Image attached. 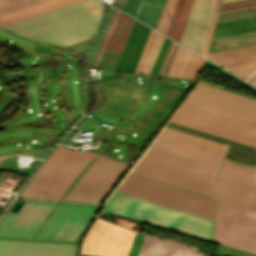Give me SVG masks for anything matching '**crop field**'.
Instances as JSON below:
<instances>
[{"label": "crop field", "mask_w": 256, "mask_h": 256, "mask_svg": "<svg viewBox=\"0 0 256 256\" xmlns=\"http://www.w3.org/2000/svg\"><path fill=\"white\" fill-rule=\"evenodd\" d=\"M45 0H1L0 14L35 5Z\"/></svg>", "instance_id": "obj_17"}, {"label": "crop field", "mask_w": 256, "mask_h": 256, "mask_svg": "<svg viewBox=\"0 0 256 256\" xmlns=\"http://www.w3.org/2000/svg\"><path fill=\"white\" fill-rule=\"evenodd\" d=\"M251 44H256V32L214 39L211 41L208 52Z\"/></svg>", "instance_id": "obj_13"}, {"label": "crop field", "mask_w": 256, "mask_h": 256, "mask_svg": "<svg viewBox=\"0 0 256 256\" xmlns=\"http://www.w3.org/2000/svg\"><path fill=\"white\" fill-rule=\"evenodd\" d=\"M143 0H128L123 11L128 14L137 17L140 7L142 5Z\"/></svg>", "instance_id": "obj_23"}, {"label": "crop field", "mask_w": 256, "mask_h": 256, "mask_svg": "<svg viewBox=\"0 0 256 256\" xmlns=\"http://www.w3.org/2000/svg\"><path fill=\"white\" fill-rule=\"evenodd\" d=\"M138 256H202L192 250L144 237Z\"/></svg>", "instance_id": "obj_8"}, {"label": "crop field", "mask_w": 256, "mask_h": 256, "mask_svg": "<svg viewBox=\"0 0 256 256\" xmlns=\"http://www.w3.org/2000/svg\"><path fill=\"white\" fill-rule=\"evenodd\" d=\"M54 205L27 201L18 214L8 212L0 224V237L32 239ZM96 209L59 204L35 239L74 242ZM76 247L71 244L0 240V256H75Z\"/></svg>", "instance_id": "obj_2"}, {"label": "crop field", "mask_w": 256, "mask_h": 256, "mask_svg": "<svg viewBox=\"0 0 256 256\" xmlns=\"http://www.w3.org/2000/svg\"><path fill=\"white\" fill-rule=\"evenodd\" d=\"M95 155L59 146L36 172L20 196L61 199Z\"/></svg>", "instance_id": "obj_4"}, {"label": "crop field", "mask_w": 256, "mask_h": 256, "mask_svg": "<svg viewBox=\"0 0 256 256\" xmlns=\"http://www.w3.org/2000/svg\"><path fill=\"white\" fill-rule=\"evenodd\" d=\"M166 0H144L138 19L156 27Z\"/></svg>", "instance_id": "obj_14"}, {"label": "crop field", "mask_w": 256, "mask_h": 256, "mask_svg": "<svg viewBox=\"0 0 256 256\" xmlns=\"http://www.w3.org/2000/svg\"><path fill=\"white\" fill-rule=\"evenodd\" d=\"M203 0H194L180 43L188 46Z\"/></svg>", "instance_id": "obj_15"}, {"label": "crop field", "mask_w": 256, "mask_h": 256, "mask_svg": "<svg viewBox=\"0 0 256 256\" xmlns=\"http://www.w3.org/2000/svg\"><path fill=\"white\" fill-rule=\"evenodd\" d=\"M3 159H4V157H3V158H0V163L2 162Z\"/></svg>", "instance_id": "obj_35"}, {"label": "crop field", "mask_w": 256, "mask_h": 256, "mask_svg": "<svg viewBox=\"0 0 256 256\" xmlns=\"http://www.w3.org/2000/svg\"><path fill=\"white\" fill-rule=\"evenodd\" d=\"M153 32H154L153 30H150V32H149V35H148L147 40H146V42H145V44H144V47H143V49H142L141 55H140V57H139V60H138V63H137V66H136L134 72H137L138 69H139V66H140L141 61H142V59H143V57H144V54H145V52H146V49H147V47H148V44H149V42H150V39H151V37H152Z\"/></svg>", "instance_id": "obj_28"}, {"label": "crop field", "mask_w": 256, "mask_h": 256, "mask_svg": "<svg viewBox=\"0 0 256 256\" xmlns=\"http://www.w3.org/2000/svg\"><path fill=\"white\" fill-rule=\"evenodd\" d=\"M170 42H171V40H169L167 38H164V41L162 43L161 49L159 51V54H158V56H157V58H156V60L154 62V65H153V67H152V69H151L149 74H153V75L157 74V72L159 70V67H160V65L162 63V60H163V58L165 56V53H166V51L168 49V46H169Z\"/></svg>", "instance_id": "obj_21"}, {"label": "crop field", "mask_w": 256, "mask_h": 256, "mask_svg": "<svg viewBox=\"0 0 256 256\" xmlns=\"http://www.w3.org/2000/svg\"><path fill=\"white\" fill-rule=\"evenodd\" d=\"M143 237H144L143 234L135 233V236H134V239H133V242H132V246H131V249H130V252H129L128 256H137L138 255ZM81 256H94V255L81 254Z\"/></svg>", "instance_id": "obj_24"}, {"label": "crop field", "mask_w": 256, "mask_h": 256, "mask_svg": "<svg viewBox=\"0 0 256 256\" xmlns=\"http://www.w3.org/2000/svg\"><path fill=\"white\" fill-rule=\"evenodd\" d=\"M126 167L99 155L64 200L100 203Z\"/></svg>", "instance_id": "obj_5"}, {"label": "crop field", "mask_w": 256, "mask_h": 256, "mask_svg": "<svg viewBox=\"0 0 256 256\" xmlns=\"http://www.w3.org/2000/svg\"><path fill=\"white\" fill-rule=\"evenodd\" d=\"M256 31V17L224 23H218L215 26L213 38L237 35Z\"/></svg>", "instance_id": "obj_12"}, {"label": "crop field", "mask_w": 256, "mask_h": 256, "mask_svg": "<svg viewBox=\"0 0 256 256\" xmlns=\"http://www.w3.org/2000/svg\"><path fill=\"white\" fill-rule=\"evenodd\" d=\"M101 12L100 0H82L1 28L31 40L66 46L91 37Z\"/></svg>", "instance_id": "obj_3"}, {"label": "crop field", "mask_w": 256, "mask_h": 256, "mask_svg": "<svg viewBox=\"0 0 256 256\" xmlns=\"http://www.w3.org/2000/svg\"><path fill=\"white\" fill-rule=\"evenodd\" d=\"M204 61V58L194 53H191L180 77L196 79L198 73L200 72L204 64Z\"/></svg>", "instance_id": "obj_16"}, {"label": "crop field", "mask_w": 256, "mask_h": 256, "mask_svg": "<svg viewBox=\"0 0 256 256\" xmlns=\"http://www.w3.org/2000/svg\"><path fill=\"white\" fill-rule=\"evenodd\" d=\"M206 64L209 65V66H211V67H213V68H215L216 70H218V71L221 72L222 74L226 75V76L229 77L230 79H232V80H234V81H236V82H238V83H241V84H243V85H245V86L251 88L252 90L256 91L255 88H253V87L247 85L246 83L242 82L241 80H239L238 78L234 77L233 75H231L230 73L226 72L225 70L221 69L220 67L216 66L215 64H213V63H211V62H209V61H206Z\"/></svg>", "instance_id": "obj_27"}, {"label": "crop field", "mask_w": 256, "mask_h": 256, "mask_svg": "<svg viewBox=\"0 0 256 256\" xmlns=\"http://www.w3.org/2000/svg\"><path fill=\"white\" fill-rule=\"evenodd\" d=\"M97 218L84 240L81 253L104 256H127L134 231Z\"/></svg>", "instance_id": "obj_6"}, {"label": "crop field", "mask_w": 256, "mask_h": 256, "mask_svg": "<svg viewBox=\"0 0 256 256\" xmlns=\"http://www.w3.org/2000/svg\"><path fill=\"white\" fill-rule=\"evenodd\" d=\"M134 19L120 13L105 50L121 52Z\"/></svg>", "instance_id": "obj_11"}, {"label": "crop field", "mask_w": 256, "mask_h": 256, "mask_svg": "<svg viewBox=\"0 0 256 256\" xmlns=\"http://www.w3.org/2000/svg\"><path fill=\"white\" fill-rule=\"evenodd\" d=\"M177 0H170V3L168 5L167 11L165 13L164 19L162 21L161 27L159 31L166 33V29L168 26L169 19L171 18L172 12L174 10L175 4Z\"/></svg>", "instance_id": "obj_25"}, {"label": "crop field", "mask_w": 256, "mask_h": 256, "mask_svg": "<svg viewBox=\"0 0 256 256\" xmlns=\"http://www.w3.org/2000/svg\"><path fill=\"white\" fill-rule=\"evenodd\" d=\"M183 1H184V0H178V1H177V4H176L175 10H174V13H173L172 18H171L172 21L169 22V26H168L167 33H166V34L169 35V36H172V33H173V31H174L173 28H174L175 23H176V21H177V18H178L180 9H181L182 4H183ZM170 24H172V25H170Z\"/></svg>", "instance_id": "obj_26"}, {"label": "crop field", "mask_w": 256, "mask_h": 256, "mask_svg": "<svg viewBox=\"0 0 256 256\" xmlns=\"http://www.w3.org/2000/svg\"><path fill=\"white\" fill-rule=\"evenodd\" d=\"M113 10H114L113 8L108 7V10H107L106 16H105V18H104V20H103L101 29H105V25L108 24L109 19H110L111 15H112Z\"/></svg>", "instance_id": "obj_29"}, {"label": "crop field", "mask_w": 256, "mask_h": 256, "mask_svg": "<svg viewBox=\"0 0 256 256\" xmlns=\"http://www.w3.org/2000/svg\"><path fill=\"white\" fill-rule=\"evenodd\" d=\"M168 3H169V0H167L166 3H165L164 9H163V11H162V14H161V17H160V19H159V22H158V25H157L156 29H159V27H160V24H161V21H162V19H163V16H164V13H165V11H166V8H167Z\"/></svg>", "instance_id": "obj_31"}, {"label": "crop field", "mask_w": 256, "mask_h": 256, "mask_svg": "<svg viewBox=\"0 0 256 256\" xmlns=\"http://www.w3.org/2000/svg\"><path fill=\"white\" fill-rule=\"evenodd\" d=\"M187 51H188L187 49H185L181 46L179 47L177 54L175 56V59L172 63V66H171L170 71L167 76H170V77L176 76Z\"/></svg>", "instance_id": "obj_20"}, {"label": "crop field", "mask_w": 256, "mask_h": 256, "mask_svg": "<svg viewBox=\"0 0 256 256\" xmlns=\"http://www.w3.org/2000/svg\"><path fill=\"white\" fill-rule=\"evenodd\" d=\"M170 121L256 147V100L252 98L198 83ZM227 148L165 127L131 173L214 197L215 175ZM225 162L216 180L214 239L256 252V170ZM117 190L213 219V199L130 173ZM105 210L198 238H212L211 220L120 192L114 191ZM245 249L241 250L251 252Z\"/></svg>", "instance_id": "obj_1"}, {"label": "crop field", "mask_w": 256, "mask_h": 256, "mask_svg": "<svg viewBox=\"0 0 256 256\" xmlns=\"http://www.w3.org/2000/svg\"><path fill=\"white\" fill-rule=\"evenodd\" d=\"M76 1H79V0H50L41 4H37L35 6L32 5L33 7L2 14L0 15V26L42 13L45 11H49V10H52ZM33 8L35 9L33 10Z\"/></svg>", "instance_id": "obj_10"}, {"label": "crop field", "mask_w": 256, "mask_h": 256, "mask_svg": "<svg viewBox=\"0 0 256 256\" xmlns=\"http://www.w3.org/2000/svg\"><path fill=\"white\" fill-rule=\"evenodd\" d=\"M217 0H204L189 46L190 48L201 52L202 45L207 33V29L212 17V13Z\"/></svg>", "instance_id": "obj_9"}, {"label": "crop field", "mask_w": 256, "mask_h": 256, "mask_svg": "<svg viewBox=\"0 0 256 256\" xmlns=\"http://www.w3.org/2000/svg\"><path fill=\"white\" fill-rule=\"evenodd\" d=\"M250 79H252L253 81H255V82H256V72L254 73V75H253ZM250 79H249L248 81L256 85V83H255V82H253V81H252V80H250Z\"/></svg>", "instance_id": "obj_33"}, {"label": "crop field", "mask_w": 256, "mask_h": 256, "mask_svg": "<svg viewBox=\"0 0 256 256\" xmlns=\"http://www.w3.org/2000/svg\"><path fill=\"white\" fill-rule=\"evenodd\" d=\"M190 53H191V51H188V53H187V55H186V57H185V59H184V61H183V64H182V66H181V68H180V70H179V72H178V74H177L176 77H179V76H180V74H181V72H182V70H183V68H184V66H185V63H186V61H187V59H188Z\"/></svg>", "instance_id": "obj_32"}, {"label": "crop field", "mask_w": 256, "mask_h": 256, "mask_svg": "<svg viewBox=\"0 0 256 256\" xmlns=\"http://www.w3.org/2000/svg\"><path fill=\"white\" fill-rule=\"evenodd\" d=\"M235 1H240V0H225V1H223L222 4H224V3H230V2H235Z\"/></svg>", "instance_id": "obj_34"}, {"label": "crop field", "mask_w": 256, "mask_h": 256, "mask_svg": "<svg viewBox=\"0 0 256 256\" xmlns=\"http://www.w3.org/2000/svg\"><path fill=\"white\" fill-rule=\"evenodd\" d=\"M251 6H256V0H246V1L230 3V4H224L222 5L220 12L239 9V8H245V7H251Z\"/></svg>", "instance_id": "obj_22"}, {"label": "crop field", "mask_w": 256, "mask_h": 256, "mask_svg": "<svg viewBox=\"0 0 256 256\" xmlns=\"http://www.w3.org/2000/svg\"><path fill=\"white\" fill-rule=\"evenodd\" d=\"M207 57L245 80L256 69V45L210 52Z\"/></svg>", "instance_id": "obj_7"}, {"label": "crop field", "mask_w": 256, "mask_h": 256, "mask_svg": "<svg viewBox=\"0 0 256 256\" xmlns=\"http://www.w3.org/2000/svg\"><path fill=\"white\" fill-rule=\"evenodd\" d=\"M163 38H164V36H162L160 34H157L156 39L153 43V46L151 48V51L148 55V58L146 60V63L144 65L143 70H142L141 73H147V74L149 73V71H150V69L153 65V62H154V60H155V58L158 54V51H159V48L161 46Z\"/></svg>", "instance_id": "obj_19"}, {"label": "crop field", "mask_w": 256, "mask_h": 256, "mask_svg": "<svg viewBox=\"0 0 256 256\" xmlns=\"http://www.w3.org/2000/svg\"><path fill=\"white\" fill-rule=\"evenodd\" d=\"M156 34H157V32H154L153 37H152V39H151V42H150V44H149V47H148V49H147V52H146V54H145V57H144V59H143V62H142L141 66H140V69H139V71H138L139 73H140L141 70H142V67H143V65H144V63H145V60H146V58H147V55H148V53H149V50H150V48H151V46H152V43H153V41H154V38H155Z\"/></svg>", "instance_id": "obj_30"}, {"label": "crop field", "mask_w": 256, "mask_h": 256, "mask_svg": "<svg viewBox=\"0 0 256 256\" xmlns=\"http://www.w3.org/2000/svg\"><path fill=\"white\" fill-rule=\"evenodd\" d=\"M192 3L193 0H185L184 5L182 7L181 13L175 26L176 30L174 31V34L172 36V38H174L177 41H180Z\"/></svg>", "instance_id": "obj_18"}]
</instances>
